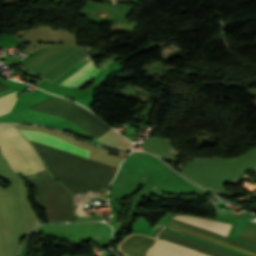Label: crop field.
<instances>
[{"label":"crop field","mask_w":256,"mask_h":256,"mask_svg":"<svg viewBox=\"0 0 256 256\" xmlns=\"http://www.w3.org/2000/svg\"><path fill=\"white\" fill-rule=\"evenodd\" d=\"M28 139L46 144L70 153H74L83 157H88L89 150L82 149L75 145H72L64 140L56 138L54 136L31 130H20Z\"/></svg>","instance_id":"obj_5"},{"label":"crop field","mask_w":256,"mask_h":256,"mask_svg":"<svg viewBox=\"0 0 256 256\" xmlns=\"http://www.w3.org/2000/svg\"><path fill=\"white\" fill-rule=\"evenodd\" d=\"M0 147L13 171L24 176L44 170L30 143L14 124H0Z\"/></svg>","instance_id":"obj_2"},{"label":"crop field","mask_w":256,"mask_h":256,"mask_svg":"<svg viewBox=\"0 0 256 256\" xmlns=\"http://www.w3.org/2000/svg\"><path fill=\"white\" fill-rule=\"evenodd\" d=\"M85 55L86 54L79 49L68 47L32 70L49 80H54Z\"/></svg>","instance_id":"obj_3"},{"label":"crop field","mask_w":256,"mask_h":256,"mask_svg":"<svg viewBox=\"0 0 256 256\" xmlns=\"http://www.w3.org/2000/svg\"><path fill=\"white\" fill-rule=\"evenodd\" d=\"M119 1H127V0H111L110 3H116V2H119Z\"/></svg>","instance_id":"obj_10"},{"label":"crop field","mask_w":256,"mask_h":256,"mask_svg":"<svg viewBox=\"0 0 256 256\" xmlns=\"http://www.w3.org/2000/svg\"><path fill=\"white\" fill-rule=\"evenodd\" d=\"M92 60L80 68L78 71L73 73L71 76L66 78L60 83L63 86H80L89 81L97 72H99Z\"/></svg>","instance_id":"obj_6"},{"label":"crop field","mask_w":256,"mask_h":256,"mask_svg":"<svg viewBox=\"0 0 256 256\" xmlns=\"http://www.w3.org/2000/svg\"><path fill=\"white\" fill-rule=\"evenodd\" d=\"M17 98V91L0 97V115L8 113Z\"/></svg>","instance_id":"obj_8"},{"label":"crop field","mask_w":256,"mask_h":256,"mask_svg":"<svg viewBox=\"0 0 256 256\" xmlns=\"http://www.w3.org/2000/svg\"><path fill=\"white\" fill-rule=\"evenodd\" d=\"M157 241L142 234H132L118 245V250L125 256H148Z\"/></svg>","instance_id":"obj_4"},{"label":"crop field","mask_w":256,"mask_h":256,"mask_svg":"<svg viewBox=\"0 0 256 256\" xmlns=\"http://www.w3.org/2000/svg\"><path fill=\"white\" fill-rule=\"evenodd\" d=\"M97 140L103 142L108 146L121 149H131L133 147V144L129 140H127L125 137H123L113 129Z\"/></svg>","instance_id":"obj_7"},{"label":"crop field","mask_w":256,"mask_h":256,"mask_svg":"<svg viewBox=\"0 0 256 256\" xmlns=\"http://www.w3.org/2000/svg\"><path fill=\"white\" fill-rule=\"evenodd\" d=\"M173 218H176L178 220L184 221L186 223H189V224H192V225H195V226H198V227L210 230V231H214L217 234H220L225 237L231 227L230 224H226V223H222V222H218V221H214V220H210V219H205V218H197V217H193V216L176 215ZM173 218H171V220L169 222L179 225L181 227L187 228L189 230L195 231L197 233L203 234L205 236L211 237L213 239L219 240L221 242L229 243V244L238 246L240 248L256 252L255 247H251V246L245 245L243 243L237 242L235 240L222 237L220 235L215 234L214 232H210V231L183 223V222L175 220ZM171 223H168L167 226H170L172 228L181 230V231L189 233L191 235L200 237L202 239L214 242L216 244L225 246L227 248L234 249V250H237L240 252H244V253L256 256L255 252L246 251V250L240 249V248L232 246V245L221 243L219 241L213 240L211 238L205 237L203 235H200L195 232L189 231L187 229L181 228L179 226L173 225ZM158 236L163 239H166L171 242L189 247L191 249H194V250H197V251H200L203 253H206L211 256H235L230 253L221 251L219 249L213 248L211 246H208L203 243L197 242L195 240L186 238L184 236L178 235L176 233L170 232L165 229H163ZM163 239H161L158 242L155 249L152 251V253H151L152 256H208L206 254L191 250L189 248L171 243V242L163 240Z\"/></svg>","instance_id":"obj_1"},{"label":"crop field","mask_w":256,"mask_h":256,"mask_svg":"<svg viewBox=\"0 0 256 256\" xmlns=\"http://www.w3.org/2000/svg\"><path fill=\"white\" fill-rule=\"evenodd\" d=\"M171 214L166 213L165 216L163 218L160 219V221L155 225V227L151 230V232L149 233V235H155V233L157 232V230L164 224V222L169 218ZM166 223V222H165Z\"/></svg>","instance_id":"obj_9"}]
</instances>
